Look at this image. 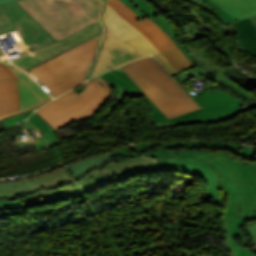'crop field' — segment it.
I'll return each mask as SVG.
<instances>
[{
    "label": "crop field",
    "mask_w": 256,
    "mask_h": 256,
    "mask_svg": "<svg viewBox=\"0 0 256 256\" xmlns=\"http://www.w3.org/2000/svg\"><path fill=\"white\" fill-rule=\"evenodd\" d=\"M21 125H23L27 130H28V132L31 134V133H33L29 128H27L23 123H20Z\"/></svg>",
    "instance_id": "32"
},
{
    "label": "crop field",
    "mask_w": 256,
    "mask_h": 256,
    "mask_svg": "<svg viewBox=\"0 0 256 256\" xmlns=\"http://www.w3.org/2000/svg\"><path fill=\"white\" fill-rule=\"evenodd\" d=\"M57 41L99 21L101 0H18Z\"/></svg>",
    "instance_id": "5"
},
{
    "label": "crop field",
    "mask_w": 256,
    "mask_h": 256,
    "mask_svg": "<svg viewBox=\"0 0 256 256\" xmlns=\"http://www.w3.org/2000/svg\"><path fill=\"white\" fill-rule=\"evenodd\" d=\"M152 20L155 21L159 25V27L163 30V32L176 44V46L180 49V51L184 54V56L193 65L192 67L196 66V63L193 61L192 57L187 53L183 45H181V43L178 41L176 37L175 27L169 21L163 18L161 15H159L158 18H154Z\"/></svg>",
    "instance_id": "21"
},
{
    "label": "crop field",
    "mask_w": 256,
    "mask_h": 256,
    "mask_svg": "<svg viewBox=\"0 0 256 256\" xmlns=\"http://www.w3.org/2000/svg\"><path fill=\"white\" fill-rule=\"evenodd\" d=\"M101 22L105 31L89 78L152 53L171 74L191 66L156 23L121 0L103 1Z\"/></svg>",
    "instance_id": "1"
},
{
    "label": "crop field",
    "mask_w": 256,
    "mask_h": 256,
    "mask_svg": "<svg viewBox=\"0 0 256 256\" xmlns=\"http://www.w3.org/2000/svg\"><path fill=\"white\" fill-rule=\"evenodd\" d=\"M36 182L33 179L22 180L12 183H0V196L15 197L21 196L27 192L34 190L33 184Z\"/></svg>",
    "instance_id": "20"
},
{
    "label": "crop field",
    "mask_w": 256,
    "mask_h": 256,
    "mask_svg": "<svg viewBox=\"0 0 256 256\" xmlns=\"http://www.w3.org/2000/svg\"><path fill=\"white\" fill-rule=\"evenodd\" d=\"M188 53L193 57L194 61L198 64V66L181 72L179 74L174 75L181 83L189 82L188 79L194 77L195 79L201 80L200 76L206 75L210 73L212 76L220 80L230 89L235 91L236 93L240 94L241 96L249 99L253 97L256 99L254 95L249 93L248 91L242 89L237 84L231 82L226 76H224L220 71L218 72L215 68L216 66L214 63L208 59L204 58L205 53H202L198 49V45H195L193 42L190 45L184 46ZM187 76V77H186ZM253 103V100H251Z\"/></svg>",
    "instance_id": "12"
},
{
    "label": "crop field",
    "mask_w": 256,
    "mask_h": 256,
    "mask_svg": "<svg viewBox=\"0 0 256 256\" xmlns=\"http://www.w3.org/2000/svg\"><path fill=\"white\" fill-rule=\"evenodd\" d=\"M121 68L169 119L202 108L153 57Z\"/></svg>",
    "instance_id": "4"
},
{
    "label": "crop field",
    "mask_w": 256,
    "mask_h": 256,
    "mask_svg": "<svg viewBox=\"0 0 256 256\" xmlns=\"http://www.w3.org/2000/svg\"><path fill=\"white\" fill-rule=\"evenodd\" d=\"M250 19L254 23V25L256 26V21L253 19V17H251Z\"/></svg>",
    "instance_id": "33"
},
{
    "label": "crop field",
    "mask_w": 256,
    "mask_h": 256,
    "mask_svg": "<svg viewBox=\"0 0 256 256\" xmlns=\"http://www.w3.org/2000/svg\"><path fill=\"white\" fill-rule=\"evenodd\" d=\"M113 156H115V154L113 153L112 149L107 152L73 163L69 165V168L72 170L74 177L77 178L90 167L103 165L104 161Z\"/></svg>",
    "instance_id": "19"
},
{
    "label": "crop field",
    "mask_w": 256,
    "mask_h": 256,
    "mask_svg": "<svg viewBox=\"0 0 256 256\" xmlns=\"http://www.w3.org/2000/svg\"><path fill=\"white\" fill-rule=\"evenodd\" d=\"M161 171H181L203 177L207 186L206 193L217 207V214L213 218L221 216L224 210L227 196H221L218 185L217 173L206 164L208 160L195 158H171L158 160Z\"/></svg>",
    "instance_id": "11"
},
{
    "label": "crop field",
    "mask_w": 256,
    "mask_h": 256,
    "mask_svg": "<svg viewBox=\"0 0 256 256\" xmlns=\"http://www.w3.org/2000/svg\"><path fill=\"white\" fill-rule=\"evenodd\" d=\"M82 85L86 88V86L88 85V82H86V83H84Z\"/></svg>",
    "instance_id": "34"
},
{
    "label": "crop field",
    "mask_w": 256,
    "mask_h": 256,
    "mask_svg": "<svg viewBox=\"0 0 256 256\" xmlns=\"http://www.w3.org/2000/svg\"><path fill=\"white\" fill-rule=\"evenodd\" d=\"M255 151H256V150H254V149L245 147V148L241 151V157L251 161V159H252V157H253Z\"/></svg>",
    "instance_id": "28"
},
{
    "label": "crop field",
    "mask_w": 256,
    "mask_h": 256,
    "mask_svg": "<svg viewBox=\"0 0 256 256\" xmlns=\"http://www.w3.org/2000/svg\"><path fill=\"white\" fill-rule=\"evenodd\" d=\"M245 230L249 233V235H251L253 239L252 246L256 250V223L246 227Z\"/></svg>",
    "instance_id": "27"
},
{
    "label": "crop field",
    "mask_w": 256,
    "mask_h": 256,
    "mask_svg": "<svg viewBox=\"0 0 256 256\" xmlns=\"http://www.w3.org/2000/svg\"><path fill=\"white\" fill-rule=\"evenodd\" d=\"M28 120L37 126L53 145L60 144L52 130H49V127L36 114H33Z\"/></svg>",
    "instance_id": "24"
},
{
    "label": "crop field",
    "mask_w": 256,
    "mask_h": 256,
    "mask_svg": "<svg viewBox=\"0 0 256 256\" xmlns=\"http://www.w3.org/2000/svg\"><path fill=\"white\" fill-rule=\"evenodd\" d=\"M235 19L256 14V0H211Z\"/></svg>",
    "instance_id": "15"
},
{
    "label": "crop field",
    "mask_w": 256,
    "mask_h": 256,
    "mask_svg": "<svg viewBox=\"0 0 256 256\" xmlns=\"http://www.w3.org/2000/svg\"><path fill=\"white\" fill-rule=\"evenodd\" d=\"M190 23H191V31H192L194 37L195 38L200 37L201 35H200L199 30H198L197 26L195 25L194 21H192Z\"/></svg>",
    "instance_id": "30"
},
{
    "label": "crop field",
    "mask_w": 256,
    "mask_h": 256,
    "mask_svg": "<svg viewBox=\"0 0 256 256\" xmlns=\"http://www.w3.org/2000/svg\"><path fill=\"white\" fill-rule=\"evenodd\" d=\"M207 165L218 173L221 194L228 195L223 216L256 218V164L218 153Z\"/></svg>",
    "instance_id": "6"
},
{
    "label": "crop field",
    "mask_w": 256,
    "mask_h": 256,
    "mask_svg": "<svg viewBox=\"0 0 256 256\" xmlns=\"http://www.w3.org/2000/svg\"><path fill=\"white\" fill-rule=\"evenodd\" d=\"M101 76L114 85L117 90L118 99L117 102L113 103L111 111L119 102H124L126 93H131L133 96L144 95L153 112L149 116L152 122L155 123L156 128L182 124L222 122L242 111L256 108V105L249 104L242 109L239 106L244 102L214 88L193 95L204 108L169 120L121 68L106 72Z\"/></svg>",
    "instance_id": "3"
},
{
    "label": "crop field",
    "mask_w": 256,
    "mask_h": 256,
    "mask_svg": "<svg viewBox=\"0 0 256 256\" xmlns=\"http://www.w3.org/2000/svg\"><path fill=\"white\" fill-rule=\"evenodd\" d=\"M154 171H158L156 162L145 157H138L118 163L113 160L105 168L88 173L78 183H71L63 185L59 189H47L44 191L48 196L64 191L68 197H74L131 175Z\"/></svg>",
    "instance_id": "9"
},
{
    "label": "crop field",
    "mask_w": 256,
    "mask_h": 256,
    "mask_svg": "<svg viewBox=\"0 0 256 256\" xmlns=\"http://www.w3.org/2000/svg\"><path fill=\"white\" fill-rule=\"evenodd\" d=\"M52 98L0 55V121L37 109Z\"/></svg>",
    "instance_id": "8"
},
{
    "label": "crop field",
    "mask_w": 256,
    "mask_h": 256,
    "mask_svg": "<svg viewBox=\"0 0 256 256\" xmlns=\"http://www.w3.org/2000/svg\"><path fill=\"white\" fill-rule=\"evenodd\" d=\"M131 152L132 151L129 150L128 148H126L125 146L121 147V148L114 149V153L116 154V156L126 154V153H131Z\"/></svg>",
    "instance_id": "29"
},
{
    "label": "crop field",
    "mask_w": 256,
    "mask_h": 256,
    "mask_svg": "<svg viewBox=\"0 0 256 256\" xmlns=\"http://www.w3.org/2000/svg\"><path fill=\"white\" fill-rule=\"evenodd\" d=\"M217 153H209L202 151H193L186 148L179 149H152L144 152L141 155L146 157H152L154 159L166 158V157H200L211 159Z\"/></svg>",
    "instance_id": "17"
},
{
    "label": "crop field",
    "mask_w": 256,
    "mask_h": 256,
    "mask_svg": "<svg viewBox=\"0 0 256 256\" xmlns=\"http://www.w3.org/2000/svg\"><path fill=\"white\" fill-rule=\"evenodd\" d=\"M89 82L79 95L72 90L41 106L35 113L54 133L73 122L98 115L112 95V88L101 76Z\"/></svg>",
    "instance_id": "7"
},
{
    "label": "crop field",
    "mask_w": 256,
    "mask_h": 256,
    "mask_svg": "<svg viewBox=\"0 0 256 256\" xmlns=\"http://www.w3.org/2000/svg\"><path fill=\"white\" fill-rule=\"evenodd\" d=\"M32 135H35V134H32ZM35 138H36V139L33 140L34 142H32V140H31V141H28V142L19 143L18 146L21 147V146H24V145H28V144L33 143L34 146L37 148V150L46 147V146L44 145V143H43L37 136H35Z\"/></svg>",
    "instance_id": "26"
},
{
    "label": "crop field",
    "mask_w": 256,
    "mask_h": 256,
    "mask_svg": "<svg viewBox=\"0 0 256 256\" xmlns=\"http://www.w3.org/2000/svg\"><path fill=\"white\" fill-rule=\"evenodd\" d=\"M139 152L144 151L145 149L154 146H189V147H199V148H207L212 150L225 149L229 152L238 156L239 149L242 145L226 143V142H155V143H142V144H134Z\"/></svg>",
    "instance_id": "14"
},
{
    "label": "crop field",
    "mask_w": 256,
    "mask_h": 256,
    "mask_svg": "<svg viewBox=\"0 0 256 256\" xmlns=\"http://www.w3.org/2000/svg\"><path fill=\"white\" fill-rule=\"evenodd\" d=\"M238 32V38L241 40L243 46H247L249 50L256 54V27L249 18L237 21L234 24Z\"/></svg>",
    "instance_id": "18"
},
{
    "label": "crop field",
    "mask_w": 256,
    "mask_h": 256,
    "mask_svg": "<svg viewBox=\"0 0 256 256\" xmlns=\"http://www.w3.org/2000/svg\"><path fill=\"white\" fill-rule=\"evenodd\" d=\"M255 20H256V16H254Z\"/></svg>",
    "instance_id": "36"
},
{
    "label": "crop field",
    "mask_w": 256,
    "mask_h": 256,
    "mask_svg": "<svg viewBox=\"0 0 256 256\" xmlns=\"http://www.w3.org/2000/svg\"><path fill=\"white\" fill-rule=\"evenodd\" d=\"M191 1L207 8L214 15H216L220 20H222L226 25H229L232 22L236 21L233 17H231L229 14H227L225 11H223L221 8H219L210 0H191Z\"/></svg>",
    "instance_id": "23"
},
{
    "label": "crop field",
    "mask_w": 256,
    "mask_h": 256,
    "mask_svg": "<svg viewBox=\"0 0 256 256\" xmlns=\"http://www.w3.org/2000/svg\"><path fill=\"white\" fill-rule=\"evenodd\" d=\"M132 2L136 1V0H131Z\"/></svg>",
    "instance_id": "35"
},
{
    "label": "crop field",
    "mask_w": 256,
    "mask_h": 256,
    "mask_svg": "<svg viewBox=\"0 0 256 256\" xmlns=\"http://www.w3.org/2000/svg\"><path fill=\"white\" fill-rule=\"evenodd\" d=\"M31 113H33V111H29L28 113H26L25 115H22V116H19V117H16V118H13V119H10V120H7V121H3V123L7 126V127H10L24 119H26Z\"/></svg>",
    "instance_id": "25"
},
{
    "label": "crop field",
    "mask_w": 256,
    "mask_h": 256,
    "mask_svg": "<svg viewBox=\"0 0 256 256\" xmlns=\"http://www.w3.org/2000/svg\"><path fill=\"white\" fill-rule=\"evenodd\" d=\"M102 32L103 26L97 22L51 46L13 59L12 63L27 71L57 98L86 81Z\"/></svg>",
    "instance_id": "2"
},
{
    "label": "crop field",
    "mask_w": 256,
    "mask_h": 256,
    "mask_svg": "<svg viewBox=\"0 0 256 256\" xmlns=\"http://www.w3.org/2000/svg\"><path fill=\"white\" fill-rule=\"evenodd\" d=\"M34 180L38 183L35 188L39 186H58L62 182L71 180L69 175L66 173L65 169H60L49 174L34 178Z\"/></svg>",
    "instance_id": "22"
},
{
    "label": "crop field",
    "mask_w": 256,
    "mask_h": 256,
    "mask_svg": "<svg viewBox=\"0 0 256 256\" xmlns=\"http://www.w3.org/2000/svg\"><path fill=\"white\" fill-rule=\"evenodd\" d=\"M10 1H13V0H0V4H4V3L10 2Z\"/></svg>",
    "instance_id": "31"
},
{
    "label": "crop field",
    "mask_w": 256,
    "mask_h": 256,
    "mask_svg": "<svg viewBox=\"0 0 256 256\" xmlns=\"http://www.w3.org/2000/svg\"><path fill=\"white\" fill-rule=\"evenodd\" d=\"M17 30L30 52L57 42L16 1L0 6V35Z\"/></svg>",
    "instance_id": "10"
},
{
    "label": "crop field",
    "mask_w": 256,
    "mask_h": 256,
    "mask_svg": "<svg viewBox=\"0 0 256 256\" xmlns=\"http://www.w3.org/2000/svg\"><path fill=\"white\" fill-rule=\"evenodd\" d=\"M247 218H228L222 216L223 227L227 233V243L231 256H256L247 246V237L240 230V226Z\"/></svg>",
    "instance_id": "13"
},
{
    "label": "crop field",
    "mask_w": 256,
    "mask_h": 256,
    "mask_svg": "<svg viewBox=\"0 0 256 256\" xmlns=\"http://www.w3.org/2000/svg\"><path fill=\"white\" fill-rule=\"evenodd\" d=\"M42 199H45L47 201L48 205H50V204H54V203L61 202L64 200H68V197L65 195L64 192L47 197L45 192L40 190V191L36 192L35 194H31L26 197H22L21 199H18L16 201L10 202V201L0 200V210L1 209L25 208V203L42 200Z\"/></svg>",
    "instance_id": "16"
}]
</instances>
